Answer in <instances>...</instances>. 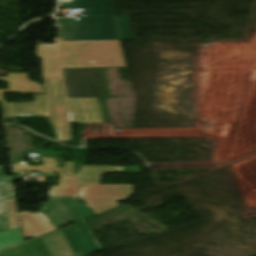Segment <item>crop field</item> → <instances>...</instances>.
I'll list each match as a JSON object with an SVG mask.
<instances>
[{
    "mask_svg": "<svg viewBox=\"0 0 256 256\" xmlns=\"http://www.w3.org/2000/svg\"><path fill=\"white\" fill-rule=\"evenodd\" d=\"M87 8V16H114L112 0H73L61 2L60 8Z\"/></svg>",
    "mask_w": 256,
    "mask_h": 256,
    "instance_id": "5a996713",
    "label": "crop field"
},
{
    "mask_svg": "<svg viewBox=\"0 0 256 256\" xmlns=\"http://www.w3.org/2000/svg\"><path fill=\"white\" fill-rule=\"evenodd\" d=\"M19 174H25V173H19Z\"/></svg>",
    "mask_w": 256,
    "mask_h": 256,
    "instance_id": "4a817a6b",
    "label": "crop field"
},
{
    "mask_svg": "<svg viewBox=\"0 0 256 256\" xmlns=\"http://www.w3.org/2000/svg\"><path fill=\"white\" fill-rule=\"evenodd\" d=\"M0 256H18L14 248L3 251L0 253Z\"/></svg>",
    "mask_w": 256,
    "mask_h": 256,
    "instance_id": "d9b57169",
    "label": "crop field"
},
{
    "mask_svg": "<svg viewBox=\"0 0 256 256\" xmlns=\"http://www.w3.org/2000/svg\"><path fill=\"white\" fill-rule=\"evenodd\" d=\"M43 80L50 122L55 125L59 141H70L72 139L63 77L43 78Z\"/></svg>",
    "mask_w": 256,
    "mask_h": 256,
    "instance_id": "f4fd0767",
    "label": "crop field"
},
{
    "mask_svg": "<svg viewBox=\"0 0 256 256\" xmlns=\"http://www.w3.org/2000/svg\"><path fill=\"white\" fill-rule=\"evenodd\" d=\"M64 41L120 40L115 17H80L58 19Z\"/></svg>",
    "mask_w": 256,
    "mask_h": 256,
    "instance_id": "412701ff",
    "label": "crop field"
},
{
    "mask_svg": "<svg viewBox=\"0 0 256 256\" xmlns=\"http://www.w3.org/2000/svg\"><path fill=\"white\" fill-rule=\"evenodd\" d=\"M44 159H46V158H42L44 165H41V166H25L24 163L22 162L13 167L15 170H21V171H33V172H46V173L62 174V169L55 167V165L57 163H55L54 159H47V161H45ZM42 166H44V167H42ZM34 167H38V168H34ZM43 169H45V171H43ZM74 171H75V169H74L73 162H66V166L64 167V174H72V172H74Z\"/></svg>",
    "mask_w": 256,
    "mask_h": 256,
    "instance_id": "22f410ed",
    "label": "crop field"
},
{
    "mask_svg": "<svg viewBox=\"0 0 256 256\" xmlns=\"http://www.w3.org/2000/svg\"><path fill=\"white\" fill-rule=\"evenodd\" d=\"M9 83V90H0V101H4L3 92L43 93L38 82H30L27 74L8 73L7 77H0Z\"/></svg>",
    "mask_w": 256,
    "mask_h": 256,
    "instance_id": "3316defc",
    "label": "crop field"
},
{
    "mask_svg": "<svg viewBox=\"0 0 256 256\" xmlns=\"http://www.w3.org/2000/svg\"><path fill=\"white\" fill-rule=\"evenodd\" d=\"M41 184L46 183L47 176L60 177L58 186H52L50 199L44 203V208L36 214L19 212L17 214L16 200H7L9 227L22 225L24 237H37L53 230L67 226L71 221H79L86 217L101 213L119 206L117 201L126 200L133 193V185H78L76 176L56 174H39ZM78 194L90 207L78 202ZM71 197V198H60ZM18 215L21 224H19Z\"/></svg>",
    "mask_w": 256,
    "mask_h": 256,
    "instance_id": "8a807250",
    "label": "crop field"
},
{
    "mask_svg": "<svg viewBox=\"0 0 256 256\" xmlns=\"http://www.w3.org/2000/svg\"><path fill=\"white\" fill-rule=\"evenodd\" d=\"M102 173H140L138 166L121 167V170L110 168L85 167L84 173L77 175L79 184H99Z\"/></svg>",
    "mask_w": 256,
    "mask_h": 256,
    "instance_id": "d1516ede",
    "label": "crop field"
},
{
    "mask_svg": "<svg viewBox=\"0 0 256 256\" xmlns=\"http://www.w3.org/2000/svg\"><path fill=\"white\" fill-rule=\"evenodd\" d=\"M23 241L19 227L2 232L0 233V250Z\"/></svg>",
    "mask_w": 256,
    "mask_h": 256,
    "instance_id": "cbeb9de0",
    "label": "crop field"
},
{
    "mask_svg": "<svg viewBox=\"0 0 256 256\" xmlns=\"http://www.w3.org/2000/svg\"><path fill=\"white\" fill-rule=\"evenodd\" d=\"M67 98L107 97L98 68L63 69Z\"/></svg>",
    "mask_w": 256,
    "mask_h": 256,
    "instance_id": "dd49c442",
    "label": "crop field"
},
{
    "mask_svg": "<svg viewBox=\"0 0 256 256\" xmlns=\"http://www.w3.org/2000/svg\"><path fill=\"white\" fill-rule=\"evenodd\" d=\"M6 199H16L12 184V176H4L0 168V221L8 224ZM8 230L0 224V232Z\"/></svg>",
    "mask_w": 256,
    "mask_h": 256,
    "instance_id": "28ad6ade",
    "label": "crop field"
},
{
    "mask_svg": "<svg viewBox=\"0 0 256 256\" xmlns=\"http://www.w3.org/2000/svg\"><path fill=\"white\" fill-rule=\"evenodd\" d=\"M70 123L102 122L96 98L67 99Z\"/></svg>",
    "mask_w": 256,
    "mask_h": 256,
    "instance_id": "e52e79f7",
    "label": "crop field"
},
{
    "mask_svg": "<svg viewBox=\"0 0 256 256\" xmlns=\"http://www.w3.org/2000/svg\"><path fill=\"white\" fill-rule=\"evenodd\" d=\"M4 117L39 115L48 116L45 96L36 95L34 103L2 104Z\"/></svg>",
    "mask_w": 256,
    "mask_h": 256,
    "instance_id": "d8731c3e",
    "label": "crop field"
},
{
    "mask_svg": "<svg viewBox=\"0 0 256 256\" xmlns=\"http://www.w3.org/2000/svg\"><path fill=\"white\" fill-rule=\"evenodd\" d=\"M98 167H111V169L113 168L112 166H98ZM83 169H84V167H81V170H80V172H79V173H77V174H80V173H82V172H83Z\"/></svg>",
    "mask_w": 256,
    "mask_h": 256,
    "instance_id": "733c2abd",
    "label": "crop field"
},
{
    "mask_svg": "<svg viewBox=\"0 0 256 256\" xmlns=\"http://www.w3.org/2000/svg\"><path fill=\"white\" fill-rule=\"evenodd\" d=\"M40 238L52 256H79L102 250L84 220Z\"/></svg>",
    "mask_w": 256,
    "mask_h": 256,
    "instance_id": "34b2d1b8",
    "label": "crop field"
},
{
    "mask_svg": "<svg viewBox=\"0 0 256 256\" xmlns=\"http://www.w3.org/2000/svg\"><path fill=\"white\" fill-rule=\"evenodd\" d=\"M54 41V45L37 48L36 57L43 60V77L63 76L61 68L126 66L119 41Z\"/></svg>",
    "mask_w": 256,
    "mask_h": 256,
    "instance_id": "ac0d7876",
    "label": "crop field"
},
{
    "mask_svg": "<svg viewBox=\"0 0 256 256\" xmlns=\"http://www.w3.org/2000/svg\"><path fill=\"white\" fill-rule=\"evenodd\" d=\"M116 18H117V22H118V26H119L121 40L134 39L129 17L121 16V17H116Z\"/></svg>",
    "mask_w": 256,
    "mask_h": 256,
    "instance_id": "5142ce71",
    "label": "crop field"
}]
</instances>
